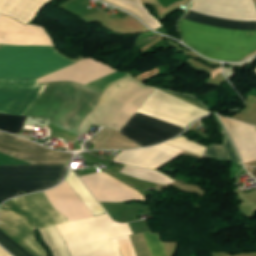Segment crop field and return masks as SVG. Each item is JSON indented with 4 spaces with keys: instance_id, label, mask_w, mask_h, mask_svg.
<instances>
[{
    "instance_id": "4a817a6b",
    "label": "crop field",
    "mask_w": 256,
    "mask_h": 256,
    "mask_svg": "<svg viewBox=\"0 0 256 256\" xmlns=\"http://www.w3.org/2000/svg\"><path fill=\"white\" fill-rule=\"evenodd\" d=\"M224 138V143L223 145H211L208 146L206 151L204 152L203 156H209V157H214L218 158L221 160H226L230 159L233 160L239 164H241L236 151L234 149V146L229 139L226 131L221 132Z\"/></svg>"
},
{
    "instance_id": "733c2abd",
    "label": "crop field",
    "mask_w": 256,
    "mask_h": 256,
    "mask_svg": "<svg viewBox=\"0 0 256 256\" xmlns=\"http://www.w3.org/2000/svg\"><path fill=\"white\" fill-rule=\"evenodd\" d=\"M53 256H71L56 226L38 230Z\"/></svg>"
},
{
    "instance_id": "f4fd0767",
    "label": "crop field",
    "mask_w": 256,
    "mask_h": 256,
    "mask_svg": "<svg viewBox=\"0 0 256 256\" xmlns=\"http://www.w3.org/2000/svg\"><path fill=\"white\" fill-rule=\"evenodd\" d=\"M154 89L130 77L109 87L94 112L80 126V136L92 124L120 131Z\"/></svg>"
},
{
    "instance_id": "cbeb9de0",
    "label": "crop field",
    "mask_w": 256,
    "mask_h": 256,
    "mask_svg": "<svg viewBox=\"0 0 256 256\" xmlns=\"http://www.w3.org/2000/svg\"><path fill=\"white\" fill-rule=\"evenodd\" d=\"M50 0H0V13L27 24Z\"/></svg>"
},
{
    "instance_id": "d8731c3e",
    "label": "crop field",
    "mask_w": 256,
    "mask_h": 256,
    "mask_svg": "<svg viewBox=\"0 0 256 256\" xmlns=\"http://www.w3.org/2000/svg\"><path fill=\"white\" fill-rule=\"evenodd\" d=\"M68 247L132 234L127 224L113 222L107 215L57 226Z\"/></svg>"
},
{
    "instance_id": "bc2a9ffb",
    "label": "crop field",
    "mask_w": 256,
    "mask_h": 256,
    "mask_svg": "<svg viewBox=\"0 0 256 256\" xmlns=\"http://www.w3.org/2000/svg\"><path fill=\"white\" fill-rule=\"evenodd\" d=\"M121 173L155 183L170 184L174 182L170 180L167 176L151 170L124 166V168L121 170Z\"/></svg>"
},
{
    "instance_id": "412701ff",
    "label": "crop field",
    "mask_w": 256,
    "mask_h": 256,
    "mask_svg": "<svg viewBox=\"0 0 256 256\" xmlns=\"http://www.w3.org/2000/svg\"><path fill=\"white\" fill-rule=\"evenodd\" d=\"M138 112L185 128L207 112L155 89ZM119 132L139 146H147L171 138L183 128L138 113Z\"/></svg>"
},
{
    "instance_id": "214f88e0",
    "label": "crop field",
    "mask_w": 256,
    "mask_h": 256,
    "mask_svg": "<svg viewBox=\"0 0 256 256\" xmlns=\"http://www.w3.org/2000/svg\"><path fill=\"white\" fill-rule=\"evenodd\" d=\"M26 117L0 114V130L19 134Z\"/></svg>"
},
{
    "instance_id": "5142ce71",
    "label": "crop field",
    "mask_w": 256,
    "mask_h": 256,
    "mask_svg": "<svg viewBox=\"0 0 256 256\" xmlns=\"http://www.w3.org/2000/svg\"><path fill=\"white\" fill-rule=\"evenodd\" d=\"M71 188L76 192L84 204L89 208L94 216L106 213L90 192L85 188L74 172H70L65 179Z\"/></svg>"
},
{
    "instance_id": "d1516ede",
    "label": "crop field",
    "mask_w": 256,
    "mask_h": 256,
    "mask_svg": "<svg viewBox=\"0 0 256 256\" xmlns=\"http://www.w3.org/2000/svg\"><path fill=\"white\" fill-rule=\"evenodd\" d=\"M182 150L161 144L147 149L123 151L114 160L117 163L151 168L167 162Z\"/></svg>"
},
{
    "instance_id": "22f410ed",
    "label": "crop field",
    "mask_w": 256,
    "mask_h": 256,
    "mask_svg": "<svg viewBox=\"0 0 256 256\" xmlns=\"http://www.w3.org/2000/svg\"><path fill=\"white\" fill-rule=\"evenodd\" d=\"M243 163L256 160V129L255 127L219 116Z\"/></svg>"
},
{
    "instance_id": "e52e79f7",
    "label": "crop field",
    "mask_w": 256,
    "mask_h": 256,
    "mask_svg": "<svg viewBox=\"0 0 256 256\" xmlns=\"http://www.w3.org/2000/svg\"><path fill=\"white\" fill-rule=\"evenodd\" d=\"M67 165L0 166V203L20 194L56 185L66 174Z\"/></svg>"
},
{
    "instance_id": "d9b57169",
    "label": "crop field",
    "mask_w": 256,
    "mask_h": 256,
    "mask_svg": "<svg viewBox=\"0 0 256 256\" xmlns=\"http://www.w3.org/2000/svg\"><path fill=\"white\" fill-rule=\"evenodd\" d=\"M113 3L139 17L147 26L155 29L160 27L158 20L151 16L143 7L141 0H105Z\"/></svg>"
},
{
    "instance_id": "00972430",
    "label": "crop field",
    "mask_w": 256,
    "mask_h": 256,
    "mask_svg": "<svg viewBox=\"0 0 256 256\" xmlns=\"http://www.w3.org/2000/svg\"><path fill=\"white\" fill-rule=\"evenodd\" d=\"M0 244L14 256H31L9 237L0 231Z\"/></svg>"
},
{
    "instance_id": "8a807250",
    "label": "crop field",
    "mask_w": 256,
    "mask_h": 256,
    "mask_svg": "<svg viewBox=\"0 0 256 256\" xmlns=\"http://www.w3.org/2000/svg\"><path fill=\"white\" fill-rule=\"evenodd\" d=\"M106 66L88 57L40 78L39 83H79ZM112 70L108 66L80 84L87 86ZM128 76L114 70L88 87L104 92L111 84ZM46 85H38V79L0 78V113L24 115ZM98 91L75 83H48L24 116L50 119L51 124L78 135L80 122L99 102L102 93Z\"/></svg>"
},
{
    "instance_id": "5a996713",
    "label": "crop field",
    "mask_w": 256,
    "mask_h": 256,
    "mask_svg": "<svg viewBox=\"0 0 256 256\" xmlns=\"http://www.w3.org/2000/svg\"><path fill=\"white\" fill-rule=\"evenodd\" d=\"M0 155L28 165L67 164L73 156V154L49 150L2 132H0Z\"/></svg>"
},
{
    "instance_id": "dafd665d",
    "label": "crop field",
    "mask_w": 256,
    "mask_h": 256,
    "mask_svg": "<svg viewBox=\"0 0 256 256\" xmlns=\"http://www.w3.org/2000/svg\"><path fill=\"white\" fill-rule=\"evenodd\" d=\"M143 234L152 256H167L158 233L151 234V232L148 231Z\"/></svg>"
},
{
    "instance_id": "ac0d7876",
    "label": "crop field",
    "mask_w": 256,
    "mask_h": 256,
    "mask_svg": "<svg viewBox=\"0 0 256 256\" xmlns=\"http://www.w3.org/2000/svg\"><path fill=\"white\" fill-rule=\"evenodd\" d=\"M192 11L217 18L256 21L252 0H196ZM189 11L186 20L215 27L253 30L256 22L217 19ZM181 18L177 28L184 42L197 52L222 61H239L256 51V32L215 28Z\"/></svg>"
},
{
    "instance_id": "92a150f3",
    "label": "crop field",
    "mask_w": 256,
    "mask_h": 256,
    "mask_svg": "<svg viewBox=\"0 0 256 256\" xmlns=\"http://www.w3.org/2000/svg\"><path fill=\"white\" fill-rule=\"evenodd\" d=\"M164 144L171 145V146H174L177 148H181L185 151H188V152L200 155V156H202L203 152L206 149V146L197 144L183 136L174 139V141H168Z\"/></svg>"
},
{
    "instance_id": "dd49c442",
    "label": "crop field",
    "mask_w": 256,
    "mask_h": 256,
    "mask_svg": "<svg viewBox=\"0 0 256 256\" xmlns=\"http://www.w3.org/2000/svg\"><path fill=\"white\" fill-rule=\"evenodd\" d=\"M75 62L48 46H0V77L40 78Z\"/></svg>"
},
{
    "instance_id": "3316defc",
    "label": "crop field",
    "mask_w": 256,
    "mask_h": 256,
    "mask_svg": "<svg viewBox=\"0 0 256 256\" xmlns=\"http://www.w3.org/2000/svg\"><path fill=\"white\" fill-rule=\"evenodd\" d=\"M80 178L99 202L146 201L141 193L125 186L104 172L81 176Z\"/></svg>"
},
{
    "instance_id": "a9b5d70f",
    "label": "crop field",
    "mask_w": 256,
    "mask_h": 256,
    "mask_svg": "<svg viewBox=\"0 0 256 256\" xmlns=\"http://www.w3.org/2000/svg\"><path fill=\"white\" fill-rule=\"evenodd\" d=\"M0 256H10V255L0 247Z\"/></svg>"
},
{
    "instance_id": "28ad6ade",
    "label": "crop field",
    "mask_w": 256,
    "mask_h": 256,
    "mask_svg": "<svg viewBox=\"0 0 256 256\" xmlns=\"http://www.w3.org/2000/svg\"><path fill=\"white\" fill-rule=\"evenodd\" d=\"M0 43L10 45H53L42 27L22 25L0 14Z\"/></svg>"
},
{
    "instance_id": "34b2d1b8",
    "label": "crop field",
    "mask_w": 256,
    "mask_h": 256,
    "mask_svg": "<svg viewBox=\"0 0 256 256\" xmlns=\"http://www.w3.org/2000/svg\"><path fill=\"white\" fill-rule=\"evenodd\" d=\"M62 223L92 217L64 180L57 187L40 192ZM38 193L11 199L0 210V230L33 256H48L38 243L35 230L61 224Z\"/></svg>"
}]
</instances>
